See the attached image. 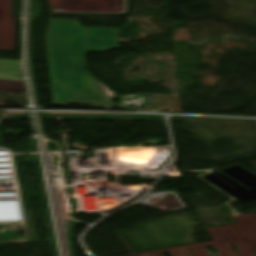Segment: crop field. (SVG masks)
<instances>
[{
	"label": "crop field",
	"mask_w": 256,
	"mask_h": 256,
	"mask_svg": "<svg viewBox=\"0 0 256 256\" xmlns=\"http://www.w3.org/2000/svg\"><path fill=\"white\" fill-rule=\"evenodd\" d=\"M119 29L82 28L79 21L51 19L47 28L53 104L110 106L99 82L86 71V51L118 48Z\"/></svg>",
	"instance_id": "crop-field-1"
},
{
	"label": "crop field",
	"mask_w": 256,
	"mask_h": 256,
	"mask_svg": "<svg viewBox=\"0 0 256 256\" xmlns=\"http://www.w3.org/2000/svg\"><path fill=\"white\" fill-rule=\"evenodd\" d=\"M0 79L23 81L20 61L0 60Z\"/></svg>",
	"instance_id": "crop-field-2"
}]
</instances>
